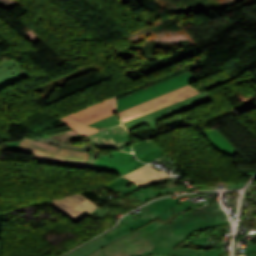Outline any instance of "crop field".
<instances>
[{
    "label": "crop field",
    "mask_w": 256,
    "mask_h": 256,
    "mask_svg": "<svg viewBox=\"0 0 256 256\" xmlns=\"http://www.w3.org/2000/svg\"><path fill=\"white\" fill-rule=\"evenodd\" d=\"M178 183H176L175 181H172V182H168L167 185H165L166 187L169 186V185H177Z\"/></svg>",
    "instance_id": "crop-field-30"
},
{
    "label": "crop field",
    "mask_w": 256,
    "mask_h": 256,
    "mask_svg": "<svg viewBox=\"0 0 256 256\" xmlns=\"http://www.w3.org/2000/svg\"><path fill=\"white\" fill-rule=\"evenodd\" d=\"M212 98L207 92L197 94L168 107L124 122L123 125L129 129L147 122L156 135L159 136L186 125L187 122L180 113L209 102Z\"/></svg>",
    "instance_id": "crop-field-2"
},
{
    "label": "crop field",
    "mask_w": 256,
    "mask_h": 256,
    "mask_svg": "<svg viewBox=\"0 0 256 256\" xmlns=\"http://www.w3.org/2000/svg\"><path fill=\"white\" fill-rule=\"evenodd\" d=\"M253 193H255V194H256V190H255V191H253Z\"/></svg>",
    "instance_id": "crop-field-32"
},
{
    "label": "crop field",
    "mask_w": 256,
    "mask_h": 256,
    "mask_svg": "<svg viewBox=\"0 0 256 256\" xmlns=\"http://www.w3.org/2000/svg\"><path fill=\"white\" fill-rule=\"evenodd\" d=\"M24 153L34 154L36 162L50 164L61 147L24 139L19 144Z\"/></svg>",
    "instance_id": "crop-field-10"
},
{
    "label": "crop field",
    "mask_w": 256,
    "mask_h": 256,
    "mask_svg": "<svg viewBox=\"0 0 256 256\" xmlns=\"http://www.w3.org/2000/svg\"><path fill=\"white\" fill-rule=\"evenodd\" d=\"M128 180H131L133 183L141 186L153 181L162 180L166 178H170L169 176L158 172L148 166H143L125 176Z\"/></svg>",
    "instance_id": "crop-field-14"
},
{
    "label": "crop field",
    "mask_w": 256,
    "mask_h": 256,
    "mask_svg": "<svg viewBox=\"0 0 256 256\" xmlns=\"http://www.w3.org/2000/svg\"><path fill=\"white\" fill-rule=\"evenodd\" d=\"M178 198L171 199V197L157 200L151 204L146 205L156 216L164 213L170 208L179 204Z\"/></svg>",
    "instance_id": "crop-field-17"
},
{
    "label": "crop field",
    "mask_w": 256,
    "mask_h": 256,
    "mask_svg": "<svg viewBox=\"0 0 256 256\" xmlns=\"http://www.w3.org/2000/svg\"><path fill=\"white\" fill-rule=\"evenodd\" d=\"M164 154L165 153L162 152L159 148H156V149H153L151 151H148V152L142 153L140 155H137L136 157L139 160L148 163V162H150V161H152V160H154V159H156V158H158V157H160Z\"/></svg>",
    "instance_id": "crop-field-23"
},
{
    "label": "crop field",
    "mask_w": 256,
    "mask_h": 256,
    "mask_svg": "<svg viewBox=\"0 0 256 256\" xmlns=\"http://www.w3.org/2000/svg\"><path fill=\"white\" fill-rule=\"evenodd\" d=\"M119 123H121V122H120L119 117L116 113V114L108 116L104 119H101V120H99L95 123H92L88 126H90V127H109V126H115Z\"/></svg>",
    "instance_id": "crop-field-20"
},
{
    "label": "crop field",
    "mask_w": 256,
    "mask_h": 256,
    "mask_svg": "<svg viewBox=\"0 0 256 256\" xmlns=\"http://www.w3.org/2000/svg\"><path fill=\"white\" fill-rule=\"evenodd\" d=\"M103 186H105L110 191L121 192V196H123L126 193H131L132 191L140 188L139 186L133 184L131 181H128L123 177Z\"/></svg>",
    "instance_id": "crop-field-16"
},
{
    "label": "crop field",
    "mask_w": 256,
    "mask_h": 256,
    "mask_svg": "<svg viewBox=\"0 0 256 256\" xmlns=\"http://www.w3.org/2000/svg\"><path fill=\"white\" fill-rule=\"evenodd\" d=\"M190 71L117 100V112L197 80Z\"/></svg>",
    "instance_id": "crop-field-4"
},
{
    "label": "crop field",
    "mask_w": 256,
    "mask_h": 256,
    "mask_svg": "<svg viewBox=\"0 0 256 256\" xmlns=\"http://www.w3.org/2000/svg\"><path fill=\"white\" fill-rule=\"evenodd\" d=\"M228 254V253H227ZM227 254L225 255V256H227ZM152 256H162V255H155V254H153Z\"/></svg>",
    "instance_id": "crop-field-31"
},
{
    "label": "crop field",
    "mask_w": 256,
    "mask_h": 256,
    "mask_svg": "<svg viewBox=\"0 0 256 256\" xmlns=\"http://www.w3.org/2000/svg\"><path fill=\"white\" fill-rule=\"evenodd\" d=\"M201 132L210 142V144L215 149H217L221 154L234 156L239 153L242 156V154L229 141H227L216 129Z\"/></svg>",
    "instance_id": "crop-field-13"
},
{
    "label": "crop field",
    "mask_w": 256,
    "mask_h": 256,
    "mask_svg": "<svg viewBox=\"0 0 256 256\" xmlns=\"http://www.w3.org/2000/svg\"><path fill=\"white\" fill-rule=\"evenodd\" d=\"M61 120H63L66 124H68L69 126H71L73 129H75L82 137H85L87 135L99 132L98 129H94V128H90L84 125H81L79 123H76L70 119H68L67 117H62L60 118Z\"/></svg>",
    "instance_id": "crop-field-19"
},
{
    "label": "crop field",
    "mask_w": 256,
    "mask_h": 256,
    "mask_svg": "<svg viewBox=\"0 0 256 256\" xmlns=\"http://www.w3.org/2000/svg\"><path fill=\"white\" fill-rule=\"evenodd\" d=\"M28 76L31 75L14 58L0 61V90Z\"/></svg>",
    "instance_id": "crop-field-11"
},
{
    "label": "crop field",
    "mask_w": 256,
    "mask_h": 256,
    "mask_svg": "<svg viewBox=\"0 0 256 256\" xmlns=\"http://www.w3.org/2000/svg\"><path fill=\"white\" fill-rule=\"evenodd\" d=\"M132 157H134L133 154L121 151L112 152L108 155H99L92 169L123 175L145 164L138 160L129 161L128 159Z\"/></svg>",
    "instance_id": "crop-field-7"
},
{
    "label": "crop field",
    "mask_w": 256,
    "mask_h": 256,
    "mask_svg": "<svg viewBox=\"0 0 256 256\" xmlns=\"http://www.w3.org/2000/svg\"><path fill=\"white\" fill-rule=\"evenodd\" d=\"M213 234H214V231L198 235V236L193 237L192 239H190V241L188 243H186L182 246H188V245L204 246V245H206L205 241L207 239H212L213 238ZM209 236H211V238H209Z\"/></svg>",
    "instance_id": "crop-field-24"
},
{
    "label": "crop field",
    "mask_w": 256,
    "mask_h": 256,
    "mask_svg": "<svg viewBox=\"0 0 256 256\" xmlns=\"http://www.w3.org/2000/svg\"><path fill=\"white\" fill-rule=\"evenodd\" d=\"M115 112L116 110H115V96H114L100 103H97L95 105L82 109L78 112L70 114L68 115V117L88 125L94 121H97Z\"/></svg>",
    "instance_id": "crop-field-8"
},
{
    "label": "crop field",
    "mask_w": 256,
    "mask_h": 256,
    "mask_svg": "<svg viewBox=\"0 0 256 256\" xmlns=\"http://www.w3.org/2000/svg\"><path fill=\"white\" fill-rule=\"evenodd\" d=\"M256 209L248 206V208L245 210L244 214H245V217L246 216H250L252 214L253 211H255ZM256 213V212H255Z\"/></svg>",
    "instance_id": "crop-field-28"
},
{
    "label": "crop field",
    "mask_w": 256,
    "mask_h": 256,
    "mask_svg": "<svg viewBox=\"0 0 256 256\" xmlns=\"http://www.w3.org/2000/svg\"><path fill=\"white\" fill-rule=\"evenodd\" d=\"M254 256H256V254Z\"/></svg>",
    "instance_id": "crop-field-33"
},
{
    "label": "crop field",
    "mask_w": 256,
    "mask_h": 256,
    "mask_svg": "<svg viewBox=\"0 0 256 256\" xmlns=\"http://www.w3.org/2000/svg\"><path fill=\"white\" fill-rule=\"evenodd\" d=\"M109 243L108 241H106L104 238L99 237L91 242H89L88 244L84 245L83 247L71 252L70 254L66 255V256H85L89 253H91L92 251L102 247L103 245Z\"/></svg>",
    "instance_id": "crop-field-18"
},
{
    "label": "crop field",
    "mask_w": 256,
    "mask_h": 256,
    "mask_svg": "<svg viewBox=\"0 0 256 256\" xmlns=\"http://www.w3.org/2000/svg\"><path fill=\"white\" fill-rule=\"evenodd\" d=\"M141 209L143 211L133 216L131 214L125 216L119 226L113 229L114 231L104 235L103 237L111 242L156 217L146 206Z\"/></svg>",
    "instance_id": "crop-field-9"
},
{
    "label": "crop field",
    "mask_w": 256,
    "mask_h": 256,
    "mask_svg": "<svg viewBox=\"0 0 256 256\" xmlns=\"http://www.w3.org/2000/svg\"><path fill=\"white\" fill-rule=\"evenodd\" d=\"M89 154L90 153L88 152L74 151L62 147L51 164L66 167L83 168Z\"/></svg>",
    "instance_id": "crop-field-12"
},
{
    "label": "crop field",
    "mask_w": 256,
    "mask_h": 256,
    "mask_svg": "<svg viewBox=\"0 0 256 256\" xmlns=\"http://www.w3.org/2000/svg\"><path fill=\"white\" fill-rule=\"evenodd\" d=\"M226 252L227 251L225 250L199 251L196 249L181 248V249L164 250L155 254H163V255H170V256H224Z\"/></svg>",
    "instance_id": "crop-field-15"
},
{
    "label": "crop field",
    "mask_w": 256,
    "mask_h": 256,
    "mask_svg": "<svg viewBox=\"0 0 256 256\" xmlns=\"http://www.w3.org/2000/svg\"><path fill=\"white\" fill-rule=\"evenodd\" d=\"M50 206L76 223L98 208L79 194L51 200Z\"/></svg>",
    "instance_id": "crop-field-6"
},
{
    "label": "crop field",
    "mask_w": 256,
    "mask_h": 256,
    "mask_svg": "<svg viewBox=\"0 0 256 256\" xmlns=\"http://www.w3.org/2000/svg\"><path fill=\"white\" fill-rule=\"evenodd\" d=\"M18 142H11V143H5V150L7 151H12V152H17V153H23L19 147H18Z\"/></svg>",
    "instance_id": "crop-field-26"
},
{
    "label": "crop field",
    "mask_w": 256,
    "mask_h": 256,
    "mask_svg": "<svg viewBox=\"0 0 256 256\" xmlns=\"http://www.w3.org/2000/svg\"><path fill=\"white\" fill-rule=\"evenodd\" d=\"M248 199H252L256 202V195L252 194L248 197Z\"/></svg>",
    "instance_id": "crop-field-29"
},
{
    "label": "crop field",
    "mask_w": 256,
    "mask_h": 256,
    "mask_svg": "<svg viewBox=\"0 0 256 256\" xmlns=\"http://www.w3.org/2000/svg\"><path fill=\"white\" fill-rule=\"evenodd\" d=\"M212 209L213 205L206 206L202 210L189 211L187 212L189 215L185 213L167 225L155 221L146 226L145 228L153 234L155 247L149 253L134 256H147L164 249L174 248L178 243L183 242L189 233L221 224V216L212 212Z\"/></svg>",
    "instance_id": "crop-field-1"
},
{
    "label": "crop field",
    "mask_w": 256,
    "mask_h": 256,
    "mask_svg": "<svg viewBox=\"0 0 256 256\" xmlns=\"http://www.w3.org/2000/svg\"><path fill=\"white\" fill-rule=\"evenodd\" d=\"M245 249H246L247 251H244V253H245L247 256H251V255L255 254V253H256V243L245 247Z\"/></svg>",
    "instance_id": "crop-field-27"
},
{
    "label": "crop field",
    "mask_w": 256,
    "mask_h": 256,
    "mask_svg": "<svg viewBox=\"0 0 256 256\" xmlns=\"http://www.w3.org/2000/svg\"><path fill=\"white\" fill-rule=\"evenodd\" d=\"M194 208H195V207H194L192 201H190V202L187 201V202H185V203L179 205L178 207L174 208V209L171 210L170 212L168 211L169 213H167V214H165V215L159 217V219L163 221V220H166L167 218H169L168 216H170V215L173 214V213L182 214V213H184V212H186V211H188V210H192V209H194Z\"/></svg>",
    "instance_id": "crop-field-21"
},
{
    "label": "crop field",
    "mask_w": 256,
    "mask_h": 256,
    "mask_svg": "<svg viewBox=\"0 0 256 256\" xmlns=\"http://www.w3.org/2000/svg\"><path fill=\"white\" fill-rule=\"evenodd\" d=\"M135 155L140 154L142 152L151 150L156 148L157 146L150 140H143L138 143L132 144Z\"/></svg>",
    "instance_id": "crop-field-22"
},
{
    "label": "crop field",
    "mask_w": 256,
    "mask_h": 256,
    "mask_svg": "<svg viewBox=\"0 0 256 256\" xmlns=\"http://www.w3.org/2000/svg\"><path fill=\"white\" fill-rule=\"evenodd\" d=\"M153 247L151 233L141 227L87 256H131L148 252Z\"/></svg>",
    "instance_id": "crop-field-3"
},
{
    "label": "crop field",
    "mask_w": 256,
    "mask_h": 256,
    "mask_svg": "<svg viewBox=\"0 0 256 256\" xmlns=\"http://www.w3.org/2000/svg\"><path fill=\"white\" fill-rule=\"evenodd\" d=\"M150 188H151V187H150ZM150 188H146V189H144V190H142V189L136 190V191L133 192V194H134L136 197H138L139 200L142 202V201H144V200H146V199H148V198H151V197H153V196H155V195H157V194L162 193V190L156 192V191H153V190L150 189Z\"/></svg>",
    "instance_id": "crop-field-25"
},
{
    "label": "crop field",
    "mask_w": 256,
    "mask_h": 256,
    "mask_svg": "<svg viewBox=\"0 0 256 256\" xmlns=\"http://www.w3.org/2000/svg\"><path fill=\"white\" fill-rule=\"evenodd\" d=\"M198 92L193 88L190 84H187L183 87H180L176 90H173L169 93L161 95L157 98H154L145 103L139 104L127 110L119 112V116L122 122L127 121L129 119L138 117L140 115L152 112L154 110L160 109L162 107L173 104L177 101L190 97L192 95L197 94Z\"/></svg>",
    "instance_id": "crop-field-5"
}]
</instances>
